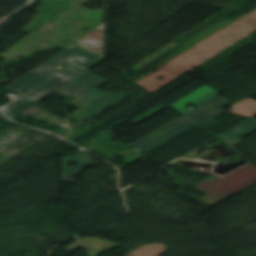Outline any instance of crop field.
Returning <instances> with one entry per match:
<instances>
[{
	"label": "crop field",
	"mask_w": 256,
	"mask_h": 256,
	"mask_svg": "<svg viewBox=\"0 0 256 256\" xmlns=\"http://www.w3.org/2000/svg\"><path fill=\"white\" fill-rule=\"evenodd\" d=\"M31 117H35V118H39L42 120H47L49 118H52L56 121H61V119L55 117L54 115L50 114L49 112L45 111V110H40L37 113H35L34 115H32Z\"/></svg>",
	"instance_id": "crop-field-12"
},
{
	"label": "crop field",
	"mask_w": 256,
	"mask_h": 256,
	"mask_svg": "<svg viewBox=\"0 0 256 256\" xmlns=\"http://www.w3.org/2000/svg\"><path fill=\"white\" fill-rule=\"evenodd\" d=\"M256 130V118H249L222 135L216 137L224 144L234 149V145L241 142V138Z\"/></svg>",
	"instance_id": "crop-field-6"
},
{
	"label": "crop field",
	"mask_w": 256,
	"mask_h": 256,
	"mask_svg": "<svg viewBox=\"0 0 256 256\" xmlns=\"http://www.w3.org/2000/svg\"><path fill=\"white\" fill-rule=\"evenodd\" d=\"M75 239L78 242L65 248L64 250L69 252V251L75 250L82 246L87 251V256H94V251L88 245H86L84 242H82L78 237H75Z\"/></svg>",
	"instance_id": "crop-field-10"
},
{
	"label": "crop field",
	"mask_w": 256,
	"mask_h": 256,
	"mask_svg": "<svg viewBox=\"0 0 256 256\" xmlns=\"http://www.w3.org/2000/svg\"><path fill=\"white\" fill-rule=\"evenodd\" d=\"M41 108L34 106L31 109H29L28 111H26L25 113H23V115H27L30 116L32 114H34L35 112H37L38 110H40Z\"/></svg>",
	"instance_id": "crop-field-13"
},
{
	"label": "crop field",
	"mask_w": 256,
	"mask_h": 256,
	"mask_svg": "<svg viewBox=\"0 0 256 256\" xmlns=\"http://www.w3.org/2000/svg\"><path fill=\"white\" fill-rule=\"evenodd\" d=\"M82 240L94 249L95 256H99V254L102 252L118 247L117 243L108 242L91 237H87Z\"/></svg>",
	"instance_id": "crop-field-8"
},
{
	"label": "crop field",
	"mask_w": 256,
	"mask_h": 256,
	"mask_svg": "<svg viewBox=\"0 0 256 256\" xmlns=\"http://www.w3.org/2000/svg\"><path fill=\"white\" fill-rule=\"evenodd\" d=\"M105 83L107 82L87 71L57 90V92L68 96L78 97L68 104L82 107L104 93L96 89Z\"/></svg>",
	"instance_id": "crop-field-2"
},
{
	"label": "crop field",
	"mask_w": 256,
	"mask_h": 256,
	"mask_svg": "<svg viewBox=\"0 0 256 256\" xmlns=\"http://www.w3.org/2000/svg\"><path fill=\"white\" fill-rule=\"evenodd\" d=\"M230 104L231 103L216 97L185 116L199 125L224 112L225 110L223 108Z\"/></svg>",
	"instance_id": "crop-field-5"
},
{
	"label": "crop field",
	"mask_w": 256,
	"mask_h": 256,
	"mask_svg": "<svg viewBox=\"0 0 256 256\" xmlns=\"http://www.w3.org/2000/svg\"><path fill=\"white\" fill-rule=\"evenodd\" d=\"M128 97L123 93L117 96L107 93L88 107L78 111L71 118L81 122L91 121Z\"/></svg>",
	"instance_id": "crop-field-4"
},
{
	"label": "crop field",
	"mask_w": 256,
	"mask_h": 256,
	"mask_svg": "<svg viewBox=\"0 0 256 256\" xmlns=\"http://www.w3.org/2000/svg\"><path fill=\"white\" fill-rule=\"evenodd\" d=\"M86 37H90L87 39ZM75 44L93 52L103 58L104 33L93 30ZM69 58L74 61L68 60ZM75 45H70L42 65L24 75L14 83L7 86V90L19 93V97L12 103L1 108V111L10 119L25 112L44 98L54 93L57 89L81 75L101 59ZM65 61L60 64L57 61ZM60 65L61 69L57 68ZM56 73H52V72ZM32 97L31 99L26 98Z\"/></svg>",
	"instance_id": "crop-field-1"
},
{
	"label": "crop field",
	"mask_w": 256,
	"mask_h": 256,
	"mask_svg": "<svg viewBox=\"0 0 256 256\" xmlns=\"http://www.w3.org/2000/svg\"><path fill=\"white\" fill-rule=\"evenodd\" d=\"M195 127L197 126L194 123L182 117L130 146V148L133 150L138 149L149 154Z\"/></svg>",
	"instance_id": "crop-field-3"
},
{
	"label": "crop field",
	"mask_w": 256,
	"mask_h": 256,
	"mask_svg": "<svg viewBox=\"0 0 256 256\" xmlns=\"http://www.w3.org/2000/svg\"><path fill=\"white\" fill-rule=\"evenodd\" d=\"M83 167L64 168L62 182L72 183L74 182L72 177L82 173Z\"/></svg>",
	"instance_id": "crop-field-9"
},
{
	"label": "crop field",
	"mask_w": 256,
	"mask_h": 256,
	"mask_svg": "<svg viewBox=\"0 0 256 256\" xmlns=\"http://www.w3.org/2000/svg\"><path fill=\"white\" fill-rule=\"evenodd\" d=\"M73 157H74V159H76V162H78V166L92 165V162H91L90 158L85 153H82L80 155H76V156H73ZM74 159H72V160H74ZM69 161H71V160H69ZM67 163H68V161L64 162V167H68Z\"/></svg>",
	"instance_id": "crop-field-11"
},
{
	"label": "crop field",
	"mask_w": 256,
	"mask_h": 256,
	"mask_svg": "<svg viewBox=\"0 0 256 256\" xmlns=\"http://www.w3.org/2000/svg\"><path fill=\"white\" fill-rule=\"evenodd\" d=\"M219 93H221V92L205 85L170 106H172L173 108H175L176 110H178L179 112H181L182 114L185 115L188 112L192 111V110L184 107L185 105L192 103V104L198 106ZM182 107H184V108H182ZM180 108H182V109H180Z\"/></svg>",
	"instance_id": "crop-field-7"
}]
</instances>
